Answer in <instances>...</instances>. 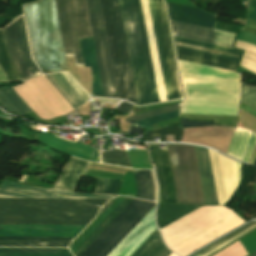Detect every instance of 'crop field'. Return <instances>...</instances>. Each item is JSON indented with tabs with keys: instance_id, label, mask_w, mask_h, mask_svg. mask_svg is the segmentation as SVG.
Segmentation results:
<instances>
[{
	"instance_id": "1",
	"label": "crop field",
	"mask_w": 256,
	"mask_h": 256,
	"mask_svg": "<svg viewBox=\"0 0 256 256\" xmlns=\"http://www.w3.org/2000/svg\"><path fill=\"white\" fill-rule=\"evenodd\" d=\"M120 5L137 87L139 103L140 105H143L149 103H156L159 102V100L160 102L165 101L166 98L147 0H141V6L150 47L159 100L140 6V0H120Z\"/></svg>"
},
{
	"instance_id": "2",
	"label": "crop field",
	"mask_w": 256,
	"mask_h": 256,
	"mask_svg": "<svg viewBox=\"0 0 256 256\" xmlns=\"http://www.w3.org/2000/svg\"><path fill=\"white\" fill-rule=\"evenodd\" d=\"M106 201L0 198V224L88 225Z\"/></svg>"
},
{
	"instance_id": "3",
	"label": "crop field",
	"mask_w": 256,
	"mask_h": 256,
	"mask_svg": "<svg viewBox=\"0 0 256 256\" xmlns=\"http://www.w3.org/2000/svg\"><path fill=\"white\" fill-rule=\"evenodd\" d=\"M244 223L234 211L213 206L201 207L160 230L169 248L187 256Z\"/></svg>"
},
{
	"instance_id": "4",
	"label": "crop field",
	"mask_w": 256,
	"mask_h": 256,
	"mask_svg": "<svg viewBox=\"0 0 256 256\" xmlns=\"http://www.w3.org/2000/svg\"><path fill=\"white\" fill-rule=\"evenodd\" d=\"M206 205H219L208 149L193 146ZM192 146L170 145L168 153L178 201L205 205Z\"/></svg>"
},
{
	"instance_id": "5",
	"label": "crop field",
	"mask_w": 256,
	"mask_h": 256,
	"mask_svg": "<svg viewBox=\"0 0 256 256\" xmlns=\"http://www.w3.org/2000/svg\"><path fill=\"white\" fill-rule=\"evenodd\" d=\"M33 53L39 69L67 70L54 0L24 5Z\"/></svg>"
},
{
	"instance_id": "6",
	"label": "crop field",
	"mask_w": 256,
	"mask_h": 256,
	"mask_svg": "<svg viewBox=\"0 0 256 256\" xmlns=\"http://www.w3.org/2000/svg\"><path fill=\"white\" fill-rule=\"evenodd\" d=\"M63 74L71 84L87 100H89V97L71 76L68 73ZM64 76L62 73H57L46 75L45 77L73 107L77 108L87 102V100ZM45 77L42 76L30 80L14 89L41 119L49 120L75 109L64 100Z\"/></svg>"
},
{
	"instance_id": "7",
	"label": "crop field",
	"mask_w": 256,
	"mask_h": 256,
	"mask_svg": "<svg viewBox=\"0 0 256 256\" xmlns=\"http://www.w3.org/2000/svg\"><path fill=\"white\" fill-rule=\"evenodd\" d=\"M118 96L137 103L118 0H100Z\"/></svg>"
},
{
	"instance_id": "8",
	"label": "crop field",
	"mask_w": 256,
	"mask_h": 256,
	"mask_svg": "<svg viewBox=\"0 0 256 256\" xmlns=\"http://www.w3.org/2000/svg\"><path fill=\"white\" fill-rule=\"evenodd\" d=\"M3 31L10 59L21 80H27L40 75L29 54L23 17L3 29ZM3 31L0 29V66L7 81H17L20 79L10 62Z\"/></svg>"
},
{
	"instance_id": "9",
	"label": "crop field",
	"mask_w": 256,
	"mask_h": 256,
	"mask_svg": "<svg viewBox=\"0 0 256 256\" xmlns=\"http://www.w3.org/2000/svg\"><path fill=\"white\" fill-rule=\"evenodd\" d=\"M154 205L133 199L80 256H107Z\"/></svg>"
},
{
	"instance_id": "10",
	"label": "crop field",
	"mask_w": 256,
	"mask_h": 256,
	"mask_svg": "<svg viewBox=\"0 0 256 256\" xmlns=\"http://www.w3.org/2000/svg\"><path fill=\"white\" fill-rule=\"evenodd\" d=\"M167 100L181 98L162 0H148Z\"/></svg>"
},
{
	"instance_id": "11",
	"label": "crop field",
	"mask_w": 256,
	"mask_h": 256,
	"mask_svg": "<svg viewBox=\"0 0 256 256\" xmlns=\"http://www.w3.org/2000/svg\"><path fill=\"white\" fill-rule=\"evenodd\" d=\"M105 97L118 98L99 0H86Z\"/></svg>"
},
{
	"instance_id": "12",
	"label": "crop field",
	"mask_w": 256,
	"mask_h": 256,
	"mask_svg": "<svg viewBox=\"0 0 256 256\" xmlns=\"http://www.w3.org/2000/svg\"><path fill=\"white\" fill-rule=\"evenodd\" d=\"M173 39H174V45H175L177 59L192 62V63H197V64H201V65L211 66V67H215V68H220V69H224V70H229V71H233V72L236 71V68H237L241 53H242L241 51H237V50L226 48V47L216 46V45H212V44L202 43V42H198V41H193V40H189V39L179 38V37H175V36H173ZM175 41L228 52V53L239 56V58L229 56L231 54L223 55V54H219V53H223V52L176 42L177 45H179V46L209 51V52L219 54V55L211 54L209 52L179 47V46H176ZM224 54H227V53H224Z\"/></svg>"
},
{
	"instance_id": "13",
	"label": "crop field",
	"mask_w": 256,
	"mask_h": 256,
	"mask_svg": "<svg viewBox=\"0 0 256 256\" xmlns=\"http://www.w3.org/2000/svg\"><path fill=\"white\" fill-rule=\"evenodd\" d=\"M116 196L117 195H99L56 191L48 188L25 185L8 180H5L0 187V197L112 199Z\"/></svg>"
},
{
	"instance_id": "14",
	"label": "crop field",
	"mask_w": 256,
	"mask_h": 256,
	"mask_svg": "<svg viewBox=\"0 0 256 256\" xmlns=\"http://www.w3.org/2000/svg\"><path fill=\"white\" fill-rule=\"evenodd\" d=\"M66 56L75 57L78 66H84L80 55L78 39L70 0H55Z\"/></svg>"
},
{
	"instance_id": "15",
	"label": "crop field",
	"mask_w": 256,
	"mask_h": 256,
	"mask_svg": "<svg viewBox=\"0 0 256 256\" xmlns=\"http://www.w3.org/2000/svg\"><path fill=\"white\" fill-rule=\"evenodd\" d=\"M84 227L0 225V236L76 237Z\"/></svg>"
},
{
	"instance_id": "16",
	"label": "crop field",
	"mask_w": 256,
	"mask_h": 256,
	"mask_svg": "<svg viewBox=\"0 0 256 256\" xmlns=\"http://www.w3.org/2000/svg\"><path fill=\"white\" fill-rule=\"evenodd\" d=\"M171 22L172 33L175 36L203 41L232 48L236 35L216 30H210L176 21Z\"/></svg>"
},
{
	"instance_id": "17",
	"label": "crop field",
	"mask_w": 256,
	"mask_h": 256,
	"mask_svg": "<svg viewBox=\"0 0 256 256\" xmlns=\"http://www.w3.org/2000/svg\"><path fill=\"white\" fill-rule=\"evenodd\" d=\"M210 156L217 187L220 205H224L232 196V189L236 184L232 160H229L211 150Z\"/></svg>"
},
{
	"instance_id": "18",
	"label": "crop field",
	"mask_w": 256,
	"mask_h": 256,
	"mask_svg": "<svg viewBox=\"0 0 256 256\" xmlns=\"http://www.w3.org/2000/svg\"><path fill=\"white\" fill-rule=\"evenodd\" d=\"M153 154L162 194L163 201L175 202L177 201L176 191L174 187L171 167L169 163L167 151H159L158 146H153Z\"/></svg>"
},
{
	"instance_id": "19",
	"label": "crop field",
	"mask_w": 256,
	"mask_h": 256,
	"mask_svg": "<svg viewBox=\"0 0 256 256\" xmlns=\"http://www.w3.org/2000/svg\"><path fill=\"white\" fill-rule=\"evenodd\" d=\"M166 4L169 17L172 20L213 28L217 19V17L195 7L168 2Z\"/></svg>"
},
{
	"instance_id": "20",
	"label": "crop field",
	"mask_w": 256,
	"mask_h": 256,
	"mask_svg": "<svg viewBox=\"0 0 256 256\" xmlns=\"http://www.w3.org/2000/svg\"><path fill=\"white\" fill-rule=\"evenodd\" d=\"M74 238L0 237V246L68 247Z\"/></svg>"
},
{
	"instance_id": "21",
	"label": "crop field",
	"mask_w": 256,
	"mask_h": 256,
	"mask_svg": "<svg viewBox=\"0 0 256 256\" xmlns=\"http://www.w3.org/2000/svg\"><path fill=\"white\" fill-rule=\"evenodd\" d=\"M88 163L72 158L58 179L54 189L75 192L79 180L86 169Z\"/></svg>"
},
{
	"instance_id": "22",
	"label": "crop field",
	"mask_w": 256,
	"mask_h": 256,
	"mask_svg": "<svg viewBox=\"0 0 256 256\" xmlns=\"http://www.w3.org/2000/svg\"><path fill=\"white\" fill-rule=\"evenodd\" d=\"M80 46L82 50L83 60L85 66H92L93 69V85H92V93L93 96H101L103 95L94 45L92 38L79 39Z\"/></svg>"
},
{
	"instance_id": "23",
	"label": "crop field",
	"mask_w": 256,
	"mask_h": 256,
	"mask_svg": "<svg viewBox=\"0 0 256 256\" xmlns=\"http://www.w3.org/2000/svg\"><path fill=\"white\" fill-rule=\"evenodd\" d=\"M179 111H175V112L155 116V117L145 119V120L135 122V123H137L140 126L146 128V127H149L151 125L157 124L159 122H163V121H166V120L173 119V118L177 117ZM183 130L184 129L178 128L176 126L161 129L160 130V141H166L165 135H175V141L180 142L182 134H183ZM152 134L159 135V130L146 133L147 141H152Z\"/></svg>"
},
{
	"instance_id": "24",
	"label": "crop field",
	"mask_w": 256,
	"mask_h": 256,
	"mask_svg": "<svg viewBox=\"0 0 256 256\" xmlns=\"http://www.w3.org/2000/svg\"><path fill=\"white\" fill-rule=\"evenodd\" d=\"M0 101L9 109V112L13 114L23 116L22 114L32 111V109L13 88L0 89ZM1 102L0 105L4 107Z\"/></svg>"
},
{
	"instance_id": "25",
	"label": "crop field",
	"mask_w": 256,
	"mask_h": 256,
	"mask_svg": "<svg viewBox=\"0 0 256 256\" xmlns=\"http://www.w3.org/2000/svg\"><path fill=\"white\" fill-rule=\"evenodd\" d=\"M138 174H135V180L137 183V194L136 198L139 199H145V200H151L153 201V195H154V184H155V196L154 201L156 202V195H157V184L154 176V172L150 171H143V170H137Z\"/></svg>"
},
{
	"instance_id": "26",
	"label": "crop field",
	"mask_w": 256,
	"mask_h": 256,
	"mask_svg": "<svg viewBox=\"0 0 256 256\" xmlns=\"http://www.w3.org/2000/svg\"><path fill=\"white\" fill-rule=\"evenodd\" d=\"M0 256H73L68 249L0 248Z\"/></svg>"
},
{
	"instance_id": "27",
	"label": "crop field",
	"mask_w": 256,
	"mask_h": 256,
	"mask_svg": "<svg viewBox=\"0 0 256 256\" xmlns=\"http://www.w3.org/2000/svg\"><path fill=\"white\" fill-rule=\"evenodd\" d=\"M196 208L198 207L167 204L157 209V224L160 228Z\"/></svg>"
},
{
	"instance_id": "28",
	"label": "crop field",
	"mask_w": 256,
	"mask_h": 256,
	"mask_svg": "<svg viewBox=\"0 0 256 256\" xmlns=\"http://www.w3.org/2000/svg\"><path fill=\"white\" fill-rule=\"evenodd\" d=\"M72 4L79 38L92 37L85 1L72 0Z\"/></svg>"
},
{
	"instance_id": "29",
	"label": "crop field",
	"mask_w": 256,
	"mask_h": 256,
	"mask_svg": "<svg viewBox=\"0 0 256 256\" xmlns=\"http://www.w3.org/2000/svg\"><path fill=\"white\" fill-rule=\"evenodd\" d=\"M164 246L157 230L133 256H155Z\"/></svg>"
},
{
	"instance_id": "30",
	"label": "crop field",
	"mask_w": 256,
	"mask_h": 256,
	"mask_svg": "<svg viewBox=\"0 0 256 256\" xmlns=\"http://www.w3.org/2000/svg\"><path fill=\"white\" fill-rule=\"evenodd\" d=\"M101 163L132 168L124 150L101 153Z\"/></svg>"
},
{
	"instance_id": "31",
	"label": "crop field",
	"mask_w": 256,
	"mask_h": 256,
	"mask_svg": "<svg viewBox=\"0 0 256 256\" xmlns=\"http://www.w3.org/2000/svg\"><path fill=\"white\" fill-rule=\"evenodd\" d=\"M121 184H122L121 180L98 178L93 193L117 194L120 189Z\"/></svg>"
},
{
	"instance_id": "32",
	"label": "crop field",
	"mask_w": 256,
	"mask_h": 256,
	"mask_svg": "<svg viewBox=\"0 0 256 256\" xmlns=\"http://www.w3.org/2000/svg\"><path fill=\"white\" fill-rule=\"evenodd\" d=\"M256 224V222H252L250 224H248L247 226L241 228L240 230L236 231L235 233L231 234L230 236L226 237L225 239L219 241L218 243L214 244L213 246L209 247L208 249L202 251L201 253L197 254L196 256H202L205 253L209 252L210 250H212L213 248L217 247L218 245L222 244L223 242L229 240L230 238L234 237L235 235L239 234L240 232L244 231L245 229L251 227L252 225ZM256 225L252 226L251 228L247 229L246 231L240 233L239 235L235 236L234 238L230 239L229 241L225 242L224 244L218 246L217 248L213 249L212 251H210L209 253L205 254L204 256H209L211 254H213L214 252H216L217 250L221 249L222 247L228 245L229 243L233 242L234 240L238 239L239 237L243 236L244 234L250 232L251 230L255 229Z\"/></svg>"
},
{
	"instance_id": "33",
	"label": "crop field",
	"mask_w": 256,
	"mask_h": 256,
	"mask_svg": "<svg viewBox=\"0 0 256 256\" xmlns=\"http://www.w3.org/2000/svg\"><path fill=\"white\" fill-rule=\"evenodd\" d=\"M181 104L182 103L172 105V106H168V107H164V108H160V109H156V110H152V111L145 112V113H142V114H139V115H135V116H132V117L126 119L125 121L131 124L135 121L142 120V119H145V118H148V117H152V116H155V115H159V114L179 110L181 108Z\"/></svg>"
},
{
	"instance_id": "34",
	"label": "crop field",
	"mask_w": 256,
	"mask_h": 256,
	"mask_svg": "<svg viewBox=\"0 0 256 256\" xmlns=\"http://www.w3.org/2000/svg\"><path fill=\"white\" fill-rule=\"evenodd\" d=\"M132 199L127 198L122 205L110 216V218L90 237V239L74 254L79 256L85 248L104 230V228L123 210Z\"/></svg>"
},
{
	"instance_id": "35",
	"label": "crop field",
	"mask_w": 256,
	"mask_h": 256,
	"mask_svg": "<svg viewBox=\"0 0 256 256\" xmlns=\"http://www.w3.org/2000/svg\"><path fill=\"white\" fill-rule=\"evenodd\" d=\"M247 18L256 21V1L249 0ZM248 19L246 26L242 30L256 34V22Z\"/></svg>"
},
{
	"instance_id": "36",
	"label": "crop field",
	"mask_w": 256,
	"mask_h": 256,
	"mask_svg": "<svg viewBox=\"0 0 256 256\" xmlns=\"http://www.w3.org/2000/svg\"><path fill=\"white\" fill-rule=\"evenodd\" d=\"M237 39L256 46V35H254V34L240 30Z\"/></svg>"
},
{
	"instance_id": "37",
	"label": "crop field",
	"mask_w": 256,
	"mask_h": 256,
	"mask_svg": "<svg viewBox=\"0 0 256 256\" xmlns=\"http://www.w3.org/2000/svg\"><path fill=\"white\" fill-rule=\"evenodd\" d=\"M242 94L256 101V87L242 83Z\"/></svg>"
},
{
	"instance_id": "38",
	"label": "crop field",
	"mask_w": 256,
	"mask_h": 256,
	"mask_svg": "<svg viewBox=\"0 0 256 256\" xmlns=\"http://www.w3.org/2000/svg\"><path fill=\"white\" fill-rule=\"evenodd\" d=\"M132 107V104L122 102L116 110H118L119 113H128L130 108Z\"/></svg>"
},
{
	"instance_id": "39",
	"label": "crop field",
	"mask_w": 256,
	"mask_h": 256,
	"mask_svg": "<svg viewBox=\"0 0 256 256\" xmlns=\"http://www.w3.org/2000/svg\"><path fill=\"white\" fill-rule=\"evenodd\" d=\"M241 102L253 107L254 109H256V102L247 98L246 96L242 95V98H241Z\"/></svg>"
},
{
	"instance_id": "40",
	"label": "crop field",
	"mask_w": 256,
	"mask_h": 256,
	"mask_svg": "<svg viewBox=\"0 0 256 256\" xmlns=\"http://www.w3.org/2000/svg\"><path fill=\"white\" fill-rule=\"evenodd\" d=\"M171 253L165 246L156 256H169Z\"/></svg>"
},
{
	"instance_id": "41",
	"label": "crop field",
	"mask_w": 256,
	"mask_h": 256,
	"mask_svg": "<svg viewBox=\"0 0 256 256\" xmlns=\"http://www.w3.org/2000/svg\"><path fill=\"white\" fill-rule=\"evenodd\" d=\"M90 161L99 163V153L97 152L96 149H95V151L93 153V156H92Z\"/></svg>"
},
{
	"instance_id": "42",
	"label": "crop field",
	"mask_w": 256,
	"mask_h": 256,
	"mask_svg": "<svg viewBox=\"0 0 256 256\" xmlns=\"http://www.w3.org/2000/svg\"><path fill=\"white\" fill-rule=\"evenodd\" d=\"M170 256H176V255L172 253Z\"/></svg>"
},
{
	"instance_id": "43",
	"label": "crop field",
	"mask_w": 256,
	"mask_h": 256,
	"mask_svg": "<svg viewBox=\"0 0 256 256\" xmlns=\"http://www.w3.org/2000/svg\"><path fill=\"white\" fill-rule=\"evenodd\" d=\"M251 256H256V253H255V254H253V255H251Z\"/></svg>"
}]
</instances>
